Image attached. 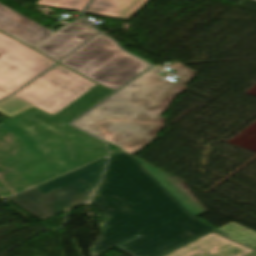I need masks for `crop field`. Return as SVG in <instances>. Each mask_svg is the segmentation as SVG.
<instances>
[{
	"instance_id": "obj_5",
	"label": "crop field",
	"mask_w": 256,
	"mask_h": 256,
	"mask_svg": "<svg viewBox=\"0 0 256 256\" xmlns=\"http://www.w3.org/2000/svg\"><path fill=\"white\" fill-rule=\"evenodd\" d=\"M95 85L58 64L13 96L53 116Z\"/></svg>"
},
{
	"instance_id": "obj_16",
	"label": "crop field",
	"mask_w": 256,
	"mask_h": 256,
	"mask_svg": "<svg viewBox=\"0 0 256 256\" xmlns=\"http://www.w3.org/2000/svg\"><path fill=\"white\" fill-rule=\"evenodd\" d=\"M214 231L256 249V232L252 230L231 222Z\"/></svg>"
},
{
	"instance_id": "obj_13",
	"label": "crop field",
	"mask_w": 256,
	"mask_h": 256,
	"mask_svg": "<svg viewBox=\"0 0 256 256\" xmlns=\"http://www.w3.org/2000/svg\"><path fill=\"white\" fill-rule=\"evenodd\" d=\"M145 170L157 180L179 203H181L192 215L196 216L205 212L203 207L183 185V183L149 165Z\"/></svg>"
},
{
	"instance_id": "obj_2",
	"label": "crop field",
	"mask_w": 256,
	"mask_h": 256,
	"mask_svg": "<svg viewBox=\"0 0 256 256\" xmlns=\"http://www.w3.org/2000/svg\"><path fill=\"white\" fill-rule=\"evenodd\" d=\"M145 165L123 151L109 157L101 184L91 199L108 216L92 256L131 237L191 216L144 170Z\"/></svg>"
},
{
	"instance_id": "obj_10",
	"label": "crop field",
	"mask_w": 256,
	"mask_h": 256,
	"mask_svg": "<svg viewBox=\"0 0 256 256\" xmlns=\"http://www.w3.org/2000/svg\"><path fill=\"white\" fill-rule=\"evenodd\" d=\"M252 251L212 232L167 256H244Z\"/></svg>"
},
{
	"instance_id": "obj_17",
	"label": "crop field",
	"mask_w": 256,
	"mask_h": 256,
	"mask_svg": "<svg viewBox=\"0 0 256 256\" xmlns=\"http://www.w3.org/2000/svg\"><path fill=\"white\" fill-rule=\"evenodd\" d=\"M88 1L89 0H39L36 4L81 12Z\"/></svg>"
},
{
	"instance_id": "obj_11",
	"label": "crop field",
	"mask_w": 256,
	"mask_h": 256,
	"mask_svg": "<svg viewBox=\"0 0 256 256\" xmlns=\"http://www.w3.org/2000/svg\"><path fill=\"white\" fill-rule=\"evenodd\" d=\"M9 9L0 4V30L10 36L33 47L53 33Z\"/></svg>"
},
{
	"instance_id": "obj_19",
	"label": "crop field",
	"mask_w": 256,
	"mask_h": 256,
	"mask_svg": "<svg viewBox=\"0 0 256 256\" xmlns=\"http://www.w3.org/2000/svg\"><path fill=\"white\" fill-rule=\"evenodd\" d=\"M7 95H9V94H7V93H5V92L0 90V99L5 97V96H7Z\"/></svg>"
},
{
	"instance_id": "obj_4",
	"label": "crop field",
	"mask_w": 256,
	"mask_h": 256,
	"mask_svg": "<svg viewBox=\"0 0 256 256\" xmlns=\"http://www.w3.org/2000/svg\"><path fill=\"white\" fill-rule=\"evenodd\" d=\"M60 63L114 90L148 66L147 63L119 49L114 41L102 34Z\"/></svg>"
},
{
	"instance_id": "obj_15",
	"label": "crop field",
	"mask_w": 256,
	"mask_h": 256,
	"mask_svg": "<svg viewBox=\"0 0 256 256\" xmlns=\"http://www.w3.org/2000/svg\"><path fill=\"white\" fill-rule=\"evenodd\" d=\"M111 92L112 91L97 85L93 87L89 92L83 94L78 99L73 101L71 104L57 113L54 117L65 122L66 124H69V122L72 121L76 116L92 107Z\"/></svg>"
},
{
	"instance_id": "obj_7",
	"label": "crop field",
	"mask_w": 256,
	"mask_h": 256,
	"mask_svg": "<svg viewBox=\"0 0 256 256\" xmlns=\"http://www.w3.org/2000/svg\"><path fill=\"white\" fill-rule=\"evenodd\" d=\"M210 230L214 229L191 216L140 235L116 248L130 256H162Z\"/></svg>"
},
{
	"instance_id": "obj_9",
	"label": "crop field",
	"mask_w": 256,
	"mask_h": 256,
	"mask_svg": "<svg viewBox=\"0 0 256 256\" xmlns=\"http://www.w3.org/2000/svg\"><path fill=\"white\" fill-rule=\"evenodd\" d=\"M96 33L80 17L73 23H66L33 48L58 61Z\"/></svg>"
},
{
	"instance_id": "obj_12",
	"label": "crop field",
	"mask_w": 256,
	"mask_h": 256,
	"mask_svg": "<svg viewBox=\"0 0 256 256\" xmlns=\"http://www.w3.org/2000/svg\"><path fill=\"white\" fill-rule=\"evenodd\" d=\"M107 157V156H106ZM106 157L93 163L83 166L63 176L38 185L41 191L46 194L67 184L96 187L105 165Z\"/></svg>"
},
{
	"instance_id": "obj_6",
	"label": "crop field",
	"mask_w": 256,
	"mask_h": 256,
	"mask_svg": "<svg viewBox=\"0 0 256 256\" xmlns=\"http://www.w3.org/2000/svg\"><path fill=\"white\" fill-rule=\"evenodd\" d=\"M53 60L0 32V89L11 94L52 66Z\"/></svg>"
},
{
	"instance_id": "obj_8",
	"label": "crop field",
	"mask_w": 256,
	"mask_h": 256,
	"mask_svg": "<svg viewBox=\"0 0 256 256\" xmlns=\"http://www.w3.org/2000/svg\"><path fill=\"white\" fill-rule=\"evenodd\" d=\"M93 190L94 188L68 185L44 195L35 186L9 199L43 221L88 201Z\"/></svg>"
},
{
	"instance_id": "obj_18",
	"label": "crop field",
	"mask_w": 256,
	"mask_h": 256,
	"mask_svg": "<svg viewBox=\"0 0 256 256\" xmlns=\"http://www.w3.org/2000/svg\"><path fill=\"white\" fill-rule=\"evenodd\" d=\"M30 107L32 106L16 99L13 96L0 102V112L9 117H12Z\"/></svg>"
},
{
	"instance_id": "obj_3",
	"label": "crop field",
	"mask_w": 256,
	"mask_h": 256,
	"mask_svg": "<svg viewBox=\"0 0 256 256\" xmlns=\"http://www.w3.org/2000/svg\"><path fill=\"white\" fill-rule=\"evenodd\" d=\"M167 67L178 71L177 83L160 81L162 78L152 73L159 70L152 67L72 125L133 156L156 138L165 126L166 117L160 116L197 73L176 63Z\"/></svg>"
},
{
	"instance_id": "obj_14",
	"label": "crop field",
	"mask_w": 256,
	"mask_h": 256,
	"mask_svg": "<svg viewBox=\"0 0 256 256\" xmlns=\"http://www.w3.org/2000/svg\"><path fill=\"white\" fill-rule=\"evenodd\" d=\"M148 0H93L84 12L128 20Z\"/></svg>"
},
{
	"instance_id": "obj_1",
	"label": "crop field",
	"mask_w": 256,
	"mask_h": 256,
	"mask_svg": "<svg viewBox=\"0 0 256 256\" xmlns=\"http://www.w3.org/2000/svg\"><path fill=\"white\" fill-rule=\"evenodd\" d=\"M106 155L103 142L33 108L0 125V198Z\"/></svg>"
}]
</instances>
